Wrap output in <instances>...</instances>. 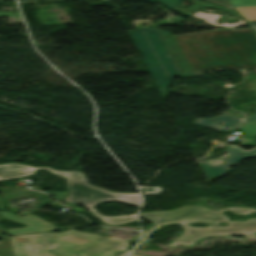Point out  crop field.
<instances>
[{
	"instance_id": "1",
	"label": "crop field",
	"mask_w": 256,
	"mask_h": 256,
	"mask_svg": "<svg viewBox=\"0 0 256 256\" xmlns=\"http://www.w3.org/2000/svg\"><path fill=\"white\" fill-rule=\"evenodd\" d=\"M175 38L196 76L206 70L256 67V35L251 29L231 28Z\"/></svg>"
},
{
	"instance_id": "2",
	"label": "crop field",
	"mask_w": 256,
	"mask_h": 256,
	"mask_svg": "<svg viewBox=\"0 0 256 256\" xmlns=\"http://www.w3.org/2000/svg\"><path fill=\"white\" fill-rule=\"evenodd\" d=\"M224 210H229L236 215H248L251 212H256V210L252 208L245 207H229L220 211H211L200 206H186L177 211L142 214L143 217L154 222V225L144 232L142 241L147 239L148 236L160 226L170 223H178L185 229V232L170 244L171 246L175 244L190 245L197 239L214 235L255 237L256 218L248 219L247 221H229L226 216L221 214ZM195 222L212 224L228 222V224L226 227L212 225L207 228H194L186 225V223Z\"/></svg>"
},
{
	"instance_id": "3",
	"label": "crop field",
	"mask_w": 256,
	"mask_h": 256,
	"mask_svg": "<svg viewBox=\"0 0 256 256\" xmlns=\"http://www.w3.org/2000/svg\"><path fill=\"white\" fill-rule=\"evenodd\" d=\"M128 33L162 98L168 95L167 89L170 88L173 76H195L169 31L146 27ZM166 55L169 57H165Z\"/></svg>"
},
{
	"instance_id": "4",
	"label": "crop field",
	"mask_w": 256,
	"mask_h": 256,
	"mask_svg": "<svg viewBox=\"0 0 256 256\" xmlns=\"http://www.w3.org/2000/svg\"><path fill=\"white\" fill-rule=\"evenodd\" d=\"M37 169H47L59 176L68 179V190L72 193L80 195L96 204L107 201H122L124 203L139 206V194H118L111 193L106 190L94 187L86 181L85 176L81 172H61L53 171L48 168H32L29 166L8 163L0 165V181L10 178H23L35 173Z\"/></svg>"
},
{
	"instance_id": "5",
	"label": "crop field",
	"mask_w": 256,
	"mask_h": 256,
	"mask_svg": "<svg viewBox=\"0 0 256 256\" xmlns=\"http://www.w3.org/2000/svg\"><path fill=\"white\" fill-rule=\"evenodd\" d=\"M130 243L78 233L46 250L48 256H115Z\"/></svg>"
},
{
	"instance_id": "6",
	"label": "crop field",
	"mask_w": 256,
	"mask_h": 256,
	"mask_svg": "<svg viewBox=\"0 0 256 256\" xmlns=\"http://www.w3.org/2000/svg\"><path fill=\"white\" fill-rule=\"evenodd\" d=\"M78 233L71 230L61 234H34L12 237L15 256H47L46 249Z\"/></svg>"
},
{
	"instance_id": "7",
	"label": "crop field",
	"mask_w": 256,
	"mask_h": 256,
	"mask_svg": "<svg viewBox=\"0 0 256 256\" xmlns=\"http://www.w3.org/2000/svg\"><path fill=\"white\" fill-rule=\"evenodd\" d=\"M157 1H161L165 3V6L168 8H172L174 10L180 11L182 13H185L189 16H193V17H197V18H201L206 20L208 23L212 24V25H216V26H221V27H225V28H230V27H236V26H240V25H245L246 23L238 16L237 13L227 10L225 8L219 7L217 5L211 4V3H194L192 7L187 8L184 6H180L178 5L180 3L181 0H157ZM202 7H212V8H217L220 9L222 11L231 13L233 15H235L239 21V23H234V24H229L227 22L222 23V25L219 24H215L217 21L216 18L218 17H223L222 15H215V14H206V13H202L199 11L200 8Z\"/></svg>"
},
{
	"instance_id": "8",
	"label": "crop field",
	"mask_w": 256,
	"mask_h": 256,
	"mask_svg": "<svg viewBox=\"0 0 256 256\" xmlns=\"http://www.w3.org/2000/svg\"><path fill=\"white\" fill-rule=\"evenodd\" d=\"M226 150L229 152V154L220 158L222 160L220 164L210 166L207 164V162L199 163L208 181L226 174L229 166L237 164L245 158L256 157V148L247 152L239 147L232 146Z\"/></svg>"
},
{
	"instance_id": "9",
	"label": "crop field",
	"mask_w": 256,
	"mask_h": 256,
	"mask_svg": "<svg viewBox=\"0 0 256 256\" xmlns=\"http://www.w3.org/2000/svg\"><path fill=\"white\" fill-rule=\"evenodd\" d=\"M2 217L28 225L22 229L8 230L9 234L46 232L56 228L51 223L45 222L34 215L18 217L12 213L0 211Z\"/></svg>"
},
{
	"instance_id": "10",
	"label": "crop field",
	"mask_w": 256,
	"mask_h": 256,
	"mask_svg": "<svg viewBox=\"0 0 256 256\" xmlns=\"http://www.w3.org/2000/svg\"><path fill=\"white\" fill-rule=\"evenodd\" d=\"M65 202H69V203L77 204V205H80V206L88 207L94 215L99 217L106 224H122V223L137 220L136 219V214H134V215H125V216H120V217H103L102 215H100V214H98L94 211V209H93V206L95 205L94 203H92V202H90V201H88V200H86V199H84L80 196L72 194L70 192L67 195V197L65 199Z\"/></svg>"
},
{
	"instance_id": "11",
	"label": "crop field",
	"mask_w": 256,
	"mask_h": 256,
	"mask_svg": "<svg viewBox=\"0 0 256 256\" xmlns=\"http://www.w3.org/2000/svg\"><path fill=\"white\" fill-rule=\"evenodd\" d=\"M238 120H241L239 118L231 117L229 115H221L219 117H216L214 119H197L194 120V123L199 126H209L213 127L215 129L217 128V123L220 121H225L226 124L223 129H218L220 131H229L235 129L237 126H239Z\"/></svg>"
},
{
	"instance_id": "12",
	"label": "crop field",
	"mask_w": 256,
	"mask_h": 256,
	"mask_svg": "<svg viewBox=\"0 0 256 256\" xmlns=\"http://www.w3.org/2000/svg\"><path fill=\"white\" fill-rule=\"evenodd\" d=\"M243 133H245V137L241 141V144L255 146L256 139V121L243 124L239 128Z\"/></svg>"
},
{
	"instance_id": "13",
	"label": "crop field",
	"mask_w": 256,
	"mask_h": 256,
	"mask_svg": "<svg viewBox=\"0 0 256 256\" xmlns=\"http://www.w3.org/2000/svg\"><path fill=\"white\" fill-rule=\"evenodd\" d=\"M1 243L2 245L0 246V254L2 256H14L10 237H7V239L1 241Z\"/></svg>"
},
{
	"instance_id": "14",
	"label": "crop field",
	"mask_w": 256,
	"mask_h": 256,
	"mask_svg": "<svg viewBox=\"0 0 256 256\" xmlns=\"http://www.w3.org/2000/svg\"><path fill=\"white\" fill-rule=\"evenodd\" d=\"M47 192H51V191H47ZM52 195H54V199L58 200V201H64L66 195L68 194L67 192H51Z\"/></svg>"
},
{
	"instance_id": "15",
	"label": "crop field",
	"mask_w": 256,
	"mask_h": 256,
	"mask_svg": "<svg viewBox=\"0 0 256 256\" xmlns=\"http://www.w3.org/2000/svg\"><path fill=\"white\" fill-rule=\"evenodd\" d=\"M219 5L235 10L227 0H209ZM236 11V10H235Z\"/></svg>"
},
{
	"instance_id": "16",
	"label": "crop field",
	"mask_w": 256,
	"mask_h": 256,
	"mask_svg": "<svg viewBox=\"0 0 256 256\" xmlns=\"http://www.w3.org/2000/svg\"><path fill=\"white\" fill-rule=\"evenodd\" d=\"M1 222H2V219H1V217H0V239H3L4 237L7 236V232H6V229L1 226ZM4 233H6V236H1V235H3Z\"/></svg>"
},
{
	"instance_id": "17",
	"label": "crop field",
	"mask_w": 256,
	"mask_h": 256,
	"mask_svg": "<svg viewBox=\"0 0 256 256\" xmlns=\"http://www.w3.org/2000/svg\"><path fill=\"white\" fill-rule=\"evenodd\" d=\"M67 208L68 207H74V208H76V209H74V210H72V211H74V212H77V213H80V212H82V211H84V209H82L81 207H79V206H74V205H69V204H67V205H65ZM85 212V211H84Z\"/></svg>"
},
{
	"instance_id": "18",
	"label": "crop field",
	"mask_w": 256,
	"mask_h": 256,
	"mask_svg": "<svg viewBox=\"0 0 256 256\" xmlns=\"http://www.w3.org/2000/svg\"><path fill=\"white\" fill-rule=\"evenodd\" d=\"M253 120H256V116L247 117L244 119V122H249V121H253Z\"/></svg>"
},
{
	"instance_id": "19",
	"label": "crop field",
	"mask_w": 256,
	"mask_h": 256,
	"mask_svg": "<svg viewBox=\"0 0 256 256\" xmlns=\"http://www.w3.org/2000/svg\"><path fill=\"white\" fill-rule=\"evenodd\" d=\"M242 1H255V0H242ZM251 25V27L254 29V31L256 32V22L255 23H249Z\"/></svg>"
},
{
	"instance_id": "20",
	"label": "crop field",
	"mask_w": 256,
	"mask_h": 256,
	"mask_svg": "<svg viewBox=\"0 0 256 256\" xmlns=\"http://www.w3.org/2000/svg\"><path fill=\"white\" fill-rule=\"evenodd\" d=\"M0 210H5L2 200L0 199Z\"/></svg>"
},
{
	"instance_id": "21",
	"label": "crop field",
	"mask_w": 256,
	"mask_h": 256,
	"mask_svg": "<svg viewBox=\"0 0 256 256\" xmlns=\"http://www.w3.org/2000/svg\"><path fill=\"white\" fill-rule=\"evenodd\" d=\"M128 254H129V251H126V252L120 254L119 256H127Z\"/></svg>"
},
{
	"instance_id": "22",
	"label": "crop field",
	"mask_w": 256,
	"mask_h": 256,
	"mask_svg": "<svg viewBox=\"0 0 256 256\" xmlns=\"http://www.w3.org/2000/svg\"><path fill=\"white\" fill-rule=\"evenodd\" d=\"M49 206H57V205H60L59 203H51V204H48Z\"/></svg>"
},
{
	"instance_id": "23",
	"label": "crop field",
	"mask_w": 256,
	"mask_h": 256,
	"mask_svg": "<svg viewBox=\"0 0 256 256\" xmlns=\"http://www.w3.org/2000/svg\"><path fill=\"white\" fill-rule=\"evenodd\" d=\"M132 256H136V255H132Z\"/></svg>"
},
{
	"instance_id": "24",
	"label": "crop field",
	"mask_w": 256,
	"mask_h": 256,
	"mask_svg": "<svg viewBox=\"0 0 256 256\" xmlns=\"http://www.w3.org/2000/svg\"><path fill=\"white\" fill-rule=\"evenodd\" d=\"M255 71H256V69H255Z\"/></svg>"
}]
</instances>
